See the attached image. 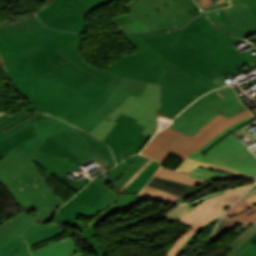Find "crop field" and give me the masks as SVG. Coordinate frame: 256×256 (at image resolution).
<instances>
[{
  "label": "crop field",
  "mask_w": 256,
  "mask_h": 256,
  "mask_svg": "<svg viewBox=\"0 0 256 256\" xmlns=\"http://www.w3.org/2000/svg\"><path fill=\"white\" fill-rule=\"evenodd\" d=\"M63 32L41 26L10 34L5 26L0 27L4 74L15 91L31 104L26 109L49 114L64 104L71 107L82 95L98 100L108 89L111 75L85 65L78 51L80 39L57 50L71 61L54 67L55 71L41 78L32 76V66L24 49L38 46Z\"/></svg>",
  "instance_id": "crop-field-1"
},
{
  "label": "crop field",
  "mask_w": 256,
  "mask_h": 256,
  "mask_svg": "<svg viewBox=\"0 0 256 256\" xmlns=\"http://www.w3.org/2000/svg\"><path fill=\"white\" fill-rule=\"evenodd\" d=\"M165 61L197 77L214 79L225 72H237L243 64L255 61L248 52L240 55L230 44L240 39L220 32L205 15L192 20L185 28L169 33H136Z\"/></svg>",
  "instance_id": "crop-field-2"
},
{
  "label": "crop field",
  "mask_w": 256,
  "mask_h": 256,
  "mask_svg": "<svg viewBox=\"0 0 256 256\" xmlns=\"http://www.w3.org/2000/svg\"><path fill=\"white\" fill-rule=\"evenodd\" d=\"M70 126L50 116L35 124L37 136L17 146L0 160V183L22 210L30 209L41 224L50 222L57 208L64 203L43 182L31 163V157L45 139Z\"/></svg>",
  "instance_id": "crop-field-3"
},
{
  "label": "crop field",
  "mask_w": 256,
  "mask_h": 256,
  "mask_svg": "<svg viewBox=\"0 0 256 256\" xmlns=\"http://www.w3.org/2000/svg\"><path fill=\"white\" fill-rule=\"evenodd\" d=\"M91 160L100 161L105 170L115 165L108 146L75 127L45 140L32 157L45 170V178L53 174L77 192L90 179L71 180L66 175Z\"/></svg>",
  "instance_id": "crop-field-4"
},
{
  "label": "crop field",
  "mask_w": 256,
  "mask_h": 256,
  "mask_svg": "<svg viewBox=\"0 0 256 256\" xmlns=\"http://www.w3.org/2000/svg\"><path fill=\"white\" fill-rule=\"evenodd\" d=\"M134 158L135 156L129 157L120 165L106 171L111 177L105 180L100 181L95 177L80 193L58 210L54 222L73 226L81 232L87 225L78 220V214L86 218L100 212L106 217L111 215L115 199V194L112 191H117L148 160L139 155L125 174L112 185L114 190L110 189V184L129 166ZM143 198L145 197L139 195L119 194L114 213L124 208L130 209Z\"/></svg>",
  "instance_id": "crop-field-5"
},
{
  "label": "crop field",
  "mask_w": 256,
  "mask_h": 256,
  "mask_svg": "<svg viewBox=\"0 0 256 256\" xmlns=\"http://www.w3.org/2000/svg\"><path fill=\"white\" fill-rule=\"evenodd\" d=\"M123 34L138 50L130 56L125 55L104 71L152 84H156L161 76L199 97L213 90L162 60V57L135 33Z\"/></svg>",
  "instance_id": "crop-field-6"
},
{
  "label": "crop field",
  "mask_w": 256,
  "mask_h": 256,
  "mask_svg": "<svg viewBox=\"0 0 256 256\" xmlns=\"http://www.w3.org/2000/svg\"><path fill=\"white\" fill-rule=\"evenodd\" d=\"M71 236L73 231L55 224L38 225L28 212H22L0 225V256H31L23 239L32 253Z\"/></svg>",
  "instance_id": "crop-field-7"
},
{
  "label": "crop field",
  "mask_w": 256,
  "mask_h": 256,
  "mask_svg": "<svg viewBox=\"0 0 256 256\" xmlns=\"http://www.w3.org/2000/svg\"><path fill=\"white\" fill-rule=\"evenodd\" d=\"M146 107V109H144ZM160 107L159 85L148 84L142 98L129 96L125 102L116 110H114L98 127L90 134L99 139L108 133L115 122L113 120L122 112L124 114L135 117L138 123L143 124L146 129L143 134L153 136L157 131L155 121V110Z\"/></svg>",
  "instance_id": "crop-field-8"
},
{
  "label": "crop field",
  "mask_w": 256,
  "mask_h": 256,
  "mask_svg": "<svg viewBox=\"0 0 256 256\" xmlns=\"http://www.w3.org/2000/svg\"><path fill=\"white\" fill-rule=\"evenodd\" d=\"M189 158L226 166L256 178V158L232 134L205 156L192 152Z\"/></svg>",
  "instance_id": "crop-field-9"
},
{
  "label": "crop field",
  "mask_w": 256,
  "mask_h": 256,
  "mask_svg": "<svg viewBox=\"0 0 256 256\" xmlns=\"http://www.w3.org/2000/svg\"><path fill=\"white\" fill-rule=\"evenodd\" d=\"M114 121L117 123L102 141L111 147L119 163L121 158L139 153L151 137L141 134L145 126L136 123L135 118L120 113Z\"/></svg>",
  "instance_id": "crop-field-10"
},
{
  "label": "crop field",
  "mask_w": 256,
  "mask_h": 256,
  "mask_svg": "<svg viewBox=\"0 0 256 256\" xmlns=\"http://www.w3.org/2000/svg\"><path fill=\"white\" fill-rule=\"evenodd\" d=\"M89 7L81 0H53L38 16L48 27L85 34Z\"/></svg>",
  "instance_id": "crop-field-11"
},
{
  "label": "crop field",
  "mask_w": 256,
  "mask_h": 256,
  "mask_svg": "<svg viewBox=\"0 0 256 256\" xmlns=\"http://www.w3.org/2000/svg\"><path fill=\"white\" fill-rule=\"evenodd\" d=\"M183 8L193 19L203 13L193 0H138L126 10L134 21L140 20L151 31V26Z\"/></svg>",
  "instance_id": "crop-field-12"
},
{
  "label": "crop field",
  "mask_w": 256,
  "mask_h": 256,
  "mask_svg": "<svg viewBox=\"0 0 256 256\" xmlns=\"http://www.w3.org/2000/svg\"><path fill=\"white\" fill-rule=\"evenodd\" d=\"M46 117L48 116L41 113L32 116L26 110L14 116H0V159L23 141L37 135L34 124Z\"/></svg>",
  "instance_id": "crop-field-13"
},
{
  "label": "crop field",
  "mask_w": 256,
  "mask_h": 256,
  "mask_svg": "<svg viewBox=\"0 0 256 256\" xmlns=\"http://www.w3.org/2000/svg\"><path fill=\"white\" fill-rule=\"evenodd\" d=\"M227 119L229 118L219 114L192 137L165 126L149 142L185 159L211 130Z\"/></svg>",
  "instance_id": "crop-field-14"
},
{
  "label": "crop field",
  "mask_w": 256,
  "mask_h": 256,
  "mask_svg": "<svg viewBox=\"0 0 256 256\" xmlns=\"http://www.w3.org/2000/svg\"><path fill=\"white\" fill-rule=\"evenodd\" d=\"M146 85L147 83L122 78L104 104L85 121L77 124L76 127L90 133L114 109L119 107L129 95L141 97Z\"/></svg>",
  "instance_id": "crop-field-15"
},
{
  "label": "crop field",
  "mask_w": 256,
  "mask_h": 256,
  "mask_svg": "<svg viewBox=\"0 0 256 256\" xmlns=\"http://www.w3.org/2000/svg\"><path fill=\"white\" fill-rule=\"evenodd\" d=\"M120 80V77L113 75L108 83V86H110L108 91L98 101L82 96L71 108L64 105L50 115H55L75 126L77 123L85 120L103 104Z\"/></svg>",
  "instance_id": "crop-field-16"
},
{
  "label": "crop field",
  "mask_w": 256,
  "mask_h": 256,
  "mask_svg": "<svg viewBox=\"0 0 256 256\" xmlns=\"http://www.w3.org/2000/svg\"><path fill=\"white\" fill-rule=\"evenodd\" d=\"M218 113L194 102L167 126L192 136Z\"/></svg>",
  "instance_id": "crop-field-17"
},
{
  "label": "crop field",
  "mask_w": 256,
  "mask_h": 256,
  "mask_svg": "<svg viewBox=\"0 0 256 256\" xmlns=\"http://www.w3.org/2000/svg\"><path fill=\"white\" fill-rule=\"evenodd\" d=\"M196 102L228 117L246 109L238 100L234 90L229 86L212 91Z\"/></svg>",
  "instance_id": "crop-field-18"
},
{
  "label": "crop field",
  "mask_w": 256,
  "mask_h": 256,
  "mask_svg": "<svg viewBox=\"0 0 256 256\" xmlns=\"http://www.w3.org/2000/svg\"><path fill=\"white\" fill-rule=\"evenodd\" d=\"M158 84L161 85L162 96V107L159 111L173 118L188 104L198 98L163 78H160Z\"/></svg>",
  "instance_id": "crop-field-19"
},
{
  "label": "crop field",
  "mask_w": 256,
  "mask_h": 256,
  "mask_svg": "<svg viewBox=\"0 0 256 256\" xmlns=\"http://www.w3.org/2000/svg\"><path fill=\"white\" fill-rule=\"evenodd\" d=\"M78 38H80V36L77 34L65 32L40 45L45 55L47 56L49 62L51 63L52 67H54L55 65L64 63L66 61H69L66 57L61 55L56 50Z\"/></svg>",
  "instance_id": "crop-field-20"
},
{
  "label": "crop field",
  "mask_w": 256,
  "mask_h": 256,
  "mask_svg": "<svg viewBox=\"0 0 256 256\" xmlns=\"http://www.w3.org/2000/svg\"><path fill=\"white\" fill-rule=\"evenodd\" d=\"M224 10L233 25L213 21L221 30L241 38H247L256 34L232 6L224 8Z\"/></svg>",
  "instance_id": "crop-field-21"
},
{
  "label": "crop field",
  "mask_w": 256,
  "mask_h": 256,
  "mask_svg": "<svg viewBox=\"0 0 256 256\" xmlns=\"http://www.w3.org/2000/svg\"><path fill=\"white\" fill-rule=\"evenodd\" d=\"M226 196V194L223 195H218L214 198H211L203 203H201L200 205L196 206L195 208H193L194 210L191 211L190 213H188L187 215H185L184 217H180L181 219H179L178 221L189 225L190 223L194 222L195 220L199 219L200 217L223 209L225 207H228L230 205H232L240 196L232 198V199H228L222 202L217 203L214 199L219 198V197H223Z\"/></svg>",
  "instance_id": "crop-field-22"
},
{
  "label": "crop field",
  "mask_w": 256,
  "mask_h": 256,
  "mask_svg": "<svg viewBox=\"0 0 256 256\" xmlns=\"http://www.w3.org/2000/svg\"><path fill=\"white\" fill-rule=\"evenodd\" d=\"M256 214V194L236 203L224 216L246 221Z\"/></svg>",
  "instance_id": "crop-field-23"
},
{
  "label": "crop field",
  "mask_w": 256,
  "mask_h": 256,
  "mask_svg": "<svg viewBox=\"0 0 256 256\" xmlns=\"http://www.w3.org/2000/svg\"><path fill=\"white\" fill-rule=\"evenodd\" d=\"M147 185L155 189L168 192L170 194L178 195L180 197L193 188V186H190L187 184L178 183V182L158 178L155 176L152 177V179L148 182Z\"/></svg>",
  "instance_id": "crop-field-24"
},
{
  "label": "crop field",
  "mask_w": 256,
  "mask_h": 256,
  "mask_svg": "<svg viewBox=\"0 0 256 256\" xmlns=\"http://www.w3.org/2000/svg\"><path fill=\"white\" fill-rule=\"evenodd\" d=\"M26 52L32 62L34 76L40 77L50 71H53V68L45 57L40 46L26 49Z\"/></svg>",
  "instance_id": "crop-field-25"
},
{
  "label": "crop field",
  "mask_w": 256,
  "mask_h": 256,
  "mask_svg": "<svg viewBox=\"0 0 256 256\" xmlns=\"http://www.w3.org/2000/svg\"><path fill=\"white\" fill-rule=\"evenodd\" d=\"M230 2L256 32V0H230Z\"/></svg>",
  "instance_id": "crop-field-26"
},
{
  "label": "crop field",
  "mask_w": 256,
  "mask_h": 256,
  "mask_svg": "<svg viewBox=\"0 0 256 256\" xmlns=\"http://www.w3.org/2000/svg\"><path fill=\"white\" fill-rule=\"evenodd\" d=\"M79 251L73 244L72 237L52 245L48 248L32 253L33 256H69L70 254Z\"/></svg>",
  "instance_id": "crop-field-27"
},
{
  "label": "crop field",
  "mask_w": 256,
  "mask_h": 256,
  "mask_svg": "<svg viewBox=\"0 0 256 256\" xmlns=\"http://www.w3.org/2000/svg\"><path fill=\"white\" fill-rule=\"evenodd\" d=\"M225 212V210H220L214 213H211L197 221H195L194 223L190 224L189 226H191L192 228L186 232L185 234H183L181 236V238H179L174 245L171 247V249L168 251L166 256H174L175 253L178 251V249L183 245V243L197 230L199 229L202 225H204L206 222L222 215Z\"/></svg>",
  "instance_id": "crop-field-28"
},
{
  "label": "crop field",
  "mask_w": 256,
  "mask_h": 256,
  "mask_svg": "<svg viewBox=\"0 0 256 256\" xmlns=\"http://www.w3.org/2000/svg\"><path fill=\"white\" fill-rule=\"evenodd\" d=\"M192 20L189 15L181 8L176 13L152 26L157 31L174 29V25H177L176 28L183 27L186 23Z\"/></svg>",
  "instance_id": "crop-field-29"
},
{
  "label": "crop field",
  "mask_w": 256,
  "mask_h": 256,
  "mask_svg": "<svg viewBox=\"0 0 256 256\" xmlns=\"http://www.w3.org/2000/svg\"><path fill=\"white\" fill-rule=\"evenodd\" d=\"M159 166L153 161L122 193L138 194Z\"/></svg>",
  "instance_id": "crop-field-30"
},
{
  "label": "crop field",
  "mask_w": 256,
  "mask_h": 256,
  "mask_svg": "<svg viewBox=\"0 0 256 256\" xmlns=\"http://www.w3.org/2000/svg\"><path fill=\"white\" fill-rule=\"evenodd\" d=\"M251 116V113L246 109L242 111L241 113L235 115L234 117L230 118L226 122L222 123L220 126H218L216 129H214L212 132H210L195 148V152H197L201 147H203L206 143H208L211 139H213L217 134H219L224 129L228 128L229 126L233 125L234 123Z\"/></svg>",
  "instance_id": "crop-field-31"
},
{
  "label": "crop field",
  "mask_w": 256,
  "mask_h": 256,
  "mask_svg": "<svg viewBox=\"0 0 256 256\" xmlns=\"http://www.w3.org/2000/svg\"><path fill=\"white\" fill-rule=\"evenodd\" d=\"M155 176L191 184L193 186L197 185L198 183H204L203 181L189 177V174L177 172V171L162 168V167L159 168V170L156 172Z\"/></svg>",
  "instance_id": "crop-field-32"
},
{
  "label": "crop field",
  "mask_w": 256,
  "mask_h": 256,
  "mask_svg": "<svg viewBox=\"0 0 256 256\" xmlns=\"http://www.w3.org/2000/svg\"><path fill=\"white\" fill-rule=\"evenodd\" d=\"M198 165H201V166H205V167H209V168H217V169H221V170H228L230 172H234V173H238V174H241L239 172H236L234 170H231L229 168H225V167H221V166H216V165H209V164H204V163H201L199 161H195V160H191L189 158L185 159L177 168L176 170H180V171H184V172H188V173H191L195 170V168L198 166ZM243 176H246L244 174H241ZM254 181H256V179L254 178H251L249 176H246Z\"/></svg>",
  "instance_id": "crop-field-33"
},
{
  "label": "crop field",
  "mask_w": 256,
  "mask_h": 256,
  "mask_svg": "<svg viewBox=\"0 0 256 256\" xmlns=\"http://www.w3.org/2000/svg\"><path fill=\"white\" fill-rule=\"evenodd\" d=\"M104 219H106L105 216H103L102 214L99 215L97 218H95V220L92 222V224L87 227L86 230L81 232L83 234L85 240L87 241V243L93 249L96 256H103V255L101 254V249H100L98 243L92 238L93 236H95V234H93V228L96 224L100 223Z\"/></svg>",
  "instance_id": "crop-field-34"
},
{
  "label": "crop field",
  "mask_w": 256,
  "mask_h": 256,
  "mask_svg": "<svg viewBox=\"0 0 256 256\" xmlns=\"http://www.w3.org/2000/svg\"><path fill=\"white\" fill-rule=\"evenodd\" d=\"M191 177L207 181V180H223V179H230V178H237V177H243L238 174L234 175H223L215 172H210L208 170H204L201 168H197L194 173L191 175Z\"/></svg>",
  "instance_id": "crop-field-35"
},
{
  "label": "crop field",
  "mask_w": 256,
  "mask_h": 256,
  "mask_svg": "<svg viewBox=\"0 0 256 256\" xmlns=\"http://www.w3.org/2000/svg\"><path fill=\"white\" fill-rule=\"evenodd\" d=\"M41 25L42 23L38 20V18L36 16H33L29 19H26L14 24L6 25V27L10 31V33H13V32H17V31H21V30L41 26Z\"/></svg>",
  "instance_id": "crop-field-36"
},
{
  "label": "crop field",
  "mask_w": 256,
  "mask_h": 256,
  "mask_svg": "<svg viewBox=\"0 0 256 256\" xmlns=\"http://www.w3.org/2000/svg\"><path fill=\"white\" fill-rule=\"evenodd\" d=\"M140 194L146 195L148 197L156 198V199H159V200H162V201H165V202H171V203L174 200H176L177 198H179L175 195H170L168 193L155 190V189L150 188L148 186H145L143 188V190L140 192Z\"/></svg>",
  "instance_id": "crop-field-37"
},
{
  "label": "crop field",
  "mask_w": 256,
  "mask_h": 256,
  "mask_svg": "<svg viewBox=\"0 0 256 256\" xmlns=\"http://www.w3.org/2000/svg\"><path fill=\"white\" fill-rule=\"evenodd\" d=\"M254 119L253 116L248 117L242 121H240L239 123L229 127L228 129H226L225 131L221 132L218 136H216L213 140H211L208 144H206L203 148H201L198 153L202 154L203 152H205L207 149H209L211 146H213L216 142H218L220 139H222L224 136H226L228 133H230L231 131L237 129L238 127L242 126L243 124L249 122L250 120Z\"/></svg>",
  "instance_id": "crop-field-38"
},
{
  "label": "crop field",
  "mask_w": 256,
  "mask_h": 256,
  "mask_svg": "<svg viewBox=\"0 0 256 256\" xmlns=\"http://www.w3.org/2000/svg\"><path fill=\"white\" fill-rule=\"evenodd\" d=\"M193 210L188 204L178 205L169 210L165 215L161 216L164 219L176 220Z\"/></svg>",
  "instance_id": "crop-field-39"
},
{
  "label": "crop field",
  "mask_w": 256,
  "mask_h": 256,
  "mask_svg": "<svg viewBox=\"0 0 256 256\" xmlns=\"http://www.w3.org/2000/svg\"><path fill=\"white\" fill-rule=\"evenodd\" d=\"M141 154H144L152 159H155L157 161H160L161 163L165 160V158L169 155L168 152L159 149L155 146H152L148 144L145 149L141 152Z\"/></svg>",
  "instance_id": "crop-field-40"
},
{
  "label": "crop field",
  "mask_w": 256,
  "mask_h": 256,
  "mask_svg": "<svg viewBox=\"0 0 256 256\" xmlns=\"http://www.w3.org/2000/svg\"><path fill=\"white\" fill-rule=\"evenodd\" d=\"M256 246V232L253 233L247 240H245L235 251L230 250L225 256H240L251 246Z\"/></svg>",
  "instance_id": "crop-field-41"
},
{
  "label": "crop field",
  "mask_w": 256,
  "mask_h": 256,
  "mask_svg": "<svg viewBox=\"0 0 256 256\" xmlns=\"http://www.w3.org/2000/svg\"><path fill=\"white\" fill-rule=\"evenodd\" d=\"M255 231H256V224H254L245 232H243L241 235H239L231 244L230 248L234 250L238 245H240L246 238H248Z\"/></svg>",
  "instance_id": "crop-field-42"
},
{
  "label": "crop field",
  "mask_w": 256,
  "mask_h": 256,
  "mask_svg": "<svg viewBox=\"0 0 256 256\" xmlns=\"http://www.w3.org/2000/svg\"><path fill=\"white\" fill-rule=\"evenodd\" d=\"M206 14L212 20L230 23L226 14L224 13L223 9L212 11V12H207Z\"/></svg>",
  "instance_id": "crop-field-43"
},
{
  "label": "crop field",
  "mask_w": 256,
  "mask_h": 256,
  "mask_svg": "<svg viewBox=\"0 0 256 256\" xmlns=\"http://www.w3.org/2000/svg\"><path fill=\"white\" fill-rule=\"evenodd\" d=\"M253 185H254V184H250V185L245 186V187H243V188H238V189H233V190L226 191V194H227L228 196L223 197V198L216 199V201L219 202V201H222V200H225V199H228V198H232V197L241 195V194H243L245 191H247V190H248L251 186H253Z\"/></svg>",
  "instance_id": "crop-field-44"
},
{
  "label": "crop field",
  "mask_w": 256,
  "mask_h": 256,
  "mask_svg": "<svg viewBox=\"0 0 256 256\" xmlns=\"http://www.w3.org/2000/svg\"><path fill=\"white\" fill-rule=\"evenodd\" d=\"M219 218L205 224L204 226H202L199 230H197L185 243L184 245L179 249V251L176 253L175 256H179L181 254V252H183L185 250V248L190 244V242L196 237V235L202 231L203 229H205L206 227H208L209 225H211L212 223L216 222L217 220H219Z\"/></svg>",
  "instance_id": "crop-field-45"
},
{
  "label": "crop field",
  "mask_w": 256,
  "mask_h": 256,
  "mask_svg": "<svg viewBox=\"0 0 256 256\" xmlns=\"http://www.w3.org/2000/svg\"><path fill=\"white\" fill-rule=\"evenodd\" d=\"M84 3H86L88 6H90L92 9H95L96 7L103 5L105 3H108L110 1L113 0H82ZM136 0H132L131 2H129L127 5H125L124 7L127 8L128 6H130L132 3H134Z\"/></svg>",
  "instance_id": "crop-field-46"
},
{
  "label": "crop field",
  "mask_w": 256,
  "mask_h": 256,
  "mask_svg": "<svg viewBox=\"0 0 256 256\" xmlns=\"http://www.w3.org/2000/svg\"><path fill=\"white\" fill-rule=\"evenodd\" d=\"M151 162L149 159L117 192L121 193Z\"/></svg>",
  "instance_id": "crop-field-47"
},
{
  "label": "crop field",
  "mask_w": 256,
  "mask_h": 256,
  "mask_svg": "<svg viewBox=\"0 0 256 256\" xmlns=\"http://www.w3.org/2000/svg\"><path fill=\"white\" fill-rule=\"evenodd\" d=\"M239 221L234 220L232 223H230L228 226H226L223 230H221L213 239L212 242L216 241L224 232L232 229Z\"/></svg>",
  "instance_id": "crop-field-48"
},
{
  "label": "crop field",
  "mask_w": 256,
  "mask_h": 256,
  "mask_svg": "<svg viewBox=\"0 0 256 256\" xmlns=\"http://www.w3.org/2000/svg\"><path fill=\"white\" fill-rule=\"evenodd\" d=\"M202 75H203V74H202ZM202 75L199 76V77H197V78H195V79H197V80H199V81L205 83L206 85H208V86H210V87H212V88H214V89L220 87V86H218L217 84H215L214 82H212L211 80L207 79L206 77H204V76H202Z\"/></svg>",
  "instance_id": "crop-field-49"
},
{
  "label": "crop field",
  "mask_w": 256,
  "mask_h": 256,
  "mask_svg": "<svg viewBox=\"0 0 256 256\" xmlns=\"http://www.w3.org/2000/svg\"><path fill=\"white\" fill-rule=\"evenodd\" d=\"M233 220H229V219H225V218H222V220L220 221L217 229L215 230L214 235H216L221 229H223L226 225H228L230 222H232ZM212 236V237H213ZM212 239V238H211Z\"/></svg>",
  "instance_id": "crop-field-50"
},
{
  "label": "crop field",
  "mask_w": 256,
  "mask_h": 256,
  "mask_svg": "<svg viewBox=\"0 0 256 256\" xmlns=\"http://www.w3.org/2000/svg\"><path fill=\"white\" fill-rule=\"evenodd\" d=\"M213 185H215L214 182H207V183H205V184L199 186L197 189H195L194 191L190 192L189 194H187V195L184 196L183 198H185V197H187V196H189V195H191V194H193V193H195V192H197V191H199V190H202V189H204V188H207V187L213 186ZM183 198L179 199V200L176 201L175 203L179 202V201L182 200ZM175 203H174V204H175Z\"/></svg>",
  "instance_id": "crop-field-51"
},
{
  "label": "crop field",
  "mask_w": 256,
  "mask_h": 256,
  "mask_svg": "<svg viewBox=\"0 0 256 256\" xmlns=\"http://www.w3.org/2000/svg\"><path fill=\"white\" fill-rule=\"evenodd\" d=\"M225 0H196V2L200 5L201 8L209 6L212 3H219Z\"/></svg>",
  "instance_id": "crop-field-52"
},
{
  "label": "crop field",
  "mask_w": 256,
  "mask_h": 256,
  "mask_svg": "<svg viewBox=\"0 0 256 256\" xmlns=\"http://www.w3.org/2000/svg\"><path fill=\"white\" fill-rule=\"evenodd\" d=\"M241 256H256V247L253 246V247L249 248Z\"/></svg>",
  "instance_id": "crop-field-53"
},
{
  "label": "crop field",
  "mask_w": 256,
  "mask_h": 256,
  "mask_svg": "<svg viewBox=\"0 0 256 256\" xmlns=\"http://www.w3.org/2000/svg\"><path fill=\"white\" fill-rule=\"evenodd\" d=\"M222 193H224V192H222ZM222 193H218V194H222ZM218 194H215V195H212V196H210V197H207V198L201 199V200H199V201L193 202V203H191V204H189V205L193 208V207H195L196 205H198L199 203L203 202L204 200H207V199H209V198H211V197H214V196H216V195H218Z\"/></svg>",
  "instance_id": "crop-field-54"
},
{
  "label": "crop field",
  "mask_w": 256,
  "mask_h": 256,
  "mask_svg": "<svg viewBox=\"0 0 256 256\" xmlns=\"http://www.w3.org/2000/svg\"><path fill=\"white\" fill-rule=\"evenodd\" d=\"M212 81H214L215 83H217V84L220 85V86L228 84V83H226L225 81H223V80H222L221 78H219V77L215 78V79L212 80Z\"/></svg>",
  "instance_id": "crop-field-55"
},
{
  "label": "crop field",
  "mask_w": 256,
  "mask_h": 256,
  "mask_svg": "<svg viewBox=\"0 0 256 256\" xmlns=\"http://www.w3.org/2000/svg\"><path fill=\"white\" fill-rule=\"evenodd\" d=\"M227 5H230V4L228 2H225V3L219 4V5H215V6L206 8V11L214 9V8H219V7L227 6Z\"/></svg>",
  "instance_id": "crop-field-56"
},
{
  "label": "crop field",
  "mask_w": 256,
  "mask_h": 256,
  "mask_svg": "<svg viewBox=\"0 0 256 256\" xmlns=\"http://www.w3.org/2000/svg\"><path fill=\"white\" fill-rule=\"evenodd\" d=\"M254 193H256V189H254V190H252V191L246 193L243 198H246V197H248V196H250V195H252V194H254ZM243 198H242V199H243Z\"/></svg>",
  "instance_id": "crop-field-57"
},
{
  "label": "crop field",
  "mask_w": 256,
  "mask_h": 256,
  "mask_svg": "<svg viewBox=\"0 0 256 256\" xmlns=\"http://www.w3.org/2000/svg\"><path fill=\"white\" fill-rule=\"evenodd\" d=\"M246 224H248L247 222H245L240 228H238L235 232L237 233L240 229H242Z\"/></svg>",
  "instance_id": "crop-field-58"
},
{
  "label": "crop field",
  "mask_w": 256,
  "mask_h": 256,
  "mask_svg": "<svg viewBox=\"0 0 256 256\" xmlns=\"http://www.w3.org/2000/svg\"><path fill=\"white\" fill-rule=\"evenodd\" d=\"M103 170L101 169V170H99V171H97V172H95V173H93V174H91L92 175V177L93 176H96L98 173H100V172H102Z\"/></svg>",
  "instance_id": "crop-field-59"
},
{
  "label": "crop field",
  "mask_w": 256,
  "mask_h": 256,
  "mask_svg": "<svg viewBox=\"0 0 256 256\" xmlns=\"http://www.w3.org/2000/svg\"><path fill=\"white\" fill-rule=\"evenodd\" d=\"M252 223H256V218H254L252 221H250Z\"/></svg>",
  "instance_id": "crop-field-60"
},
{
  "label": "crop field",
  "mask_w": 256,
  "mask_h": 256,
  "mask_svg": "<svg viewBox=\"0 0 256 256\" xmlns=\"http://www.w3.org/2000/svg\"><path fill=\"white\" fill-rule=\"evenodd\" d=\"M254 217H256V215L255 216H253L252 218H250L248 221H250L251 219H253Z\"/></svg>",
  "instance_id": "crop-field-61"
},
{
  "label": "crop field",
  "mask_w": 256,
  "mask_h": 256,
  "mask_svg": "<svg viewBox=\"0 0 256 256\" xmlns=\"http://www.w3.org/2000/svg\"><path fill=\"white\" fill-rule=\"evenodd\" d=\"M254 188H256V186H254L252 189H254ZM252 189H250V190H252ZM250 190H249V191H250Z\"/></svg>",
  "instance_id": "crop-field-62"
},
{
  "label": "crop field",
  "mask_w": 256,
  "mask_h": 256,
  "mask_svg": "<svg viewBox=\"0 0 256 256\" xmlns=\"http://www.w3.org/2000/svg\"><path fill=\"white\" fill-rule=\"evenodd\" d=\"M43 1H45V2H46L47 0H43Z\"/></svg>",
  "instance_id": "crop-field-63"
},
{
  "label": "crop field",
  "mask_w": 256,
  "mask_h": 256,
  "mask_svg": "<svg viewBox=\"0 0 256 256\" xmlns=\"http://www.w3.org/2000/svg\"><path fill=\"white\" fill-rule=\"evenodd\" d=\"M0 115H2V114H0Z\"/></svg>",
  "instance_id": "crop-field-64"
}]
</instances>
